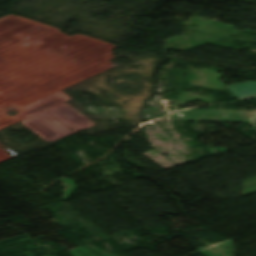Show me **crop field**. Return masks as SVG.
Instances as JSON below:
<instances>
[{"mask_svg":"<svg viewBox=\"0 0 256 256\" xmlns=\"http://www.w3.org/2000/svg\"><path fill=\"white\" fill-rule=\"evenodd\" d=\"M237 98L256 93V82L249 81L243 84L227 87Z\"/></svg>","mask_w":256,"mask_h":256,"instance_id":"crop-field-1","label":"crop field"},{"mask_svg":"<svg viewBox=\"0 0 256 256\" xmlns=\"http://www.w3.org/2000/svg\"><path fill=\"white\" fill-rule=\"evenodd\" d=\"M254 98H256V96H254Z\"/></svg>","mask_w":256,"mask_h":256,"instance_id":"crop-field-2","label":"crop field"}]
</instances>
